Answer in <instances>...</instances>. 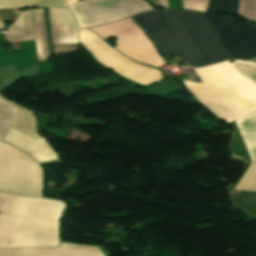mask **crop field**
<instances>
[{
	"label": "crop field",
	"instance_id": "8a807250",
	"mask_svg": "<svg viewBox=\"0 0 256 256\" xmlns=\"http://www.w3.org/2000/svg\"><path fill=\"white\" fill-rule=\"evenodd\" d=\"M132 19L151 36L161 54L180 58L190 67L232 59L227 51L218 46L213 27L197 13L149 11Z\"/></svg>",
	"mask_w": 256,
	"mask_h": 256
},
{
	"label": "crop field",
	"instance_id": "ac0d7876",
	"mask_svg": "<svg viewBox=\"0 0 256 256\" xmlns=\"http://www.w3.org/2000/svg\"><path fill=\"white\" fill-rule=\"evenodd\" d=\"M15 197L0 193V247H8V233L9 247L58 246V221L64 203L48 199Z\"/></svg>",
	"mask_w": 256,
	"mask_h": 256
},
{
	"label": "crop field",
	"instance_id": "34b2d1b8",
	"mask_svg": "<svg viewBox=\"0 0 256 256\" xmlns=\"http://www.w3.org/2000/svg\"><path fill=\"white\" fill-rule=\"evenodd\" d=\"M194 70L203 83L183 82L218 118L229 122L256 111V85L243 78L228 61Z\"/></svg>",
	"mask_w": 256,
	"mask_h": 256
},
{
	"label": "crop field",
	"instance_id": "412701ff",
	"mask_svg": "<svg viewBox=\"0 0 256 256\" xmlns=\"http://www.w3.org/2000/svg\"><path fill=\"white\" fill-rule=\"evenodd\" d=\"M39 164L20 150L0 142V192L40 197Z\"/></svg>",
	"mask_w": 256,
	"mask_h": 256
},
{
	"label": "crop field",
	"instance_id": "f4fd0767",
	"mask_svg": "<svg viewBox=\"0 0 256 256\" xmlns=\"http://www.w3.org/2000/svg\"><path fill=\"white\" fill-rule=\"evenodd\" d=\"M89 29L102 39L113 35L117 39L115 49L133 60L155 67L164 64L154 45L130 18Z\"/></svg>",
	"mask_w": 256,
	"mask_h": 256
},
{
	"label": "crop field",
	"instance_id": "dd49c442",
	"mask_svg": "<svg viewBox=\"0 0 256 256\" xmlns=\"http://www.w3.org/2000/svg\"><path fill=\"white\" fill-rule=\"evenodd\" d=\"M79 29L110 23L152 10L145 0H83L68 5Z\"/></svg>",
	"mask_w": 256,
	"mask_h": 256
},
{
	"label": "crop field",
	"instance_id": "e52e79f7",
	"mask_svg": "<svg viewBox=\"0 0 256 256\" xmlns=\"http://www.w3.org/2000/svg\"><path fill=\"white\" fill-rule=\"evenodd\" d=\"M79 41L102 65L144 86L163 80L160 71L128 60L90 31L80 30Z\"/></svg>",
	"mask_w": 256,
	"mask_h": 256
},
{
	"label": "crop field",
	"instance_id": "d8731c3e",
	"mask_svg": "<svg viewBox=\"0 0 256 256\" xmlns=\"http://www.w3.org/2000/svg\"><path fill=\"white\" fill-rule=\"evenodd\" d=\"M214 26L220 45L237 59L256 57V31L238 24L232 16L202 14ZM226 49V50H227Z\"/></svg>",
	"mask_w": 256,
	"mask_h": 256
},
{
	"label": "crop field",
	"instance_id": "5a996713",
	"mask_svg": "<svg viewBox=\"0 0 256 256\" xmlns=\"http://www.w3.org/2000/svg\"><path fill=\"white\" fill-rule=\"evenodd\" d=\"M9 127L33 138L39 137L34 112L0 96V140Z\"/></svg>",
	"mask_w": 256,
	"mask_h": 256
},
{
	"label": "crop field",
	"instance_id": "3316defc",
	"mask_svg": "<svg viewBox=\"0 0 256 256\" xmlns=\"http://www.w3.org/2000/svg\"><path fill=\"white\" fill-rule=\"evenodd\" d=\"M0 256H104L97 247L65 244L60 247L0 249Z\"/></svg>",
	"mask_w": 256,
	"mask_h": 256
},
{
	"label": "crop field",
	"instance_id": "28ad6ade",
	"mask_svg": "<svg viewBox=\"0 0 256 256\" xmlns=\"http://www.w3.org/2000/svg\"><path fill=\"white\" fill-rule=\"evenodd\" d=\"M51 23L67 22L69 42H53V44L77 43L76 24L67 9L49 8ZM66 23L52 24L54 32H61L62 41H68ZM51 28V31H52ZM52 37V40H53ZM55 41V37H54Z\"/></svg>",
	"mask_w": 256,
	"mask_h": 256
},
{
	"label": "crop field",
	"instance_id": "d1516ede",
	"mask_svg": "<svg viewBox=\"0 0 256 256\" xmlns=\"http://www.w3.org/2000/svg\"><path fill=\"white\" fill-rule=\"evenodd\" d=\"M6 39L10 42L34 40L29 10L22 11L19 18L8 27Z\"/></svg>",
	"mask_w": 256,
	"mask_h": 256
},
{
	"label": "crop field",
	"instance_id": "22f410ed",
	"mask_svg": "<svg viewBox=\"0 0 256 256\" xmlns=\"http://www.w3.org/2000/svg\"><path fill=\"white\" fill-rule=\"evenodd\" d=\"M251 161L256 163V112L237 119Z\"/></svg>",
	"mask_w": 256,
	"mask_h": 256
},
{
	"label": "crop field",
	"instance_id": "cbeb9de0",
	"mask_svg": "<svg viewBox=\"0 0 256 256\" xmlns=\"http://www.w3.org/2000/svg\"><path fill=\"white\" fill-rule=\"evenodd\" d=\"M32 24H33V31L35 37V44H36V51H37V58L38 61L46 60L48 56L47 51V43H46V35L43 23V14L42 9H33L30 10Z\"/></svg>",
	"mask_w": 256,
	"mask_h": 256
},
{
	"label": "crop field",
	"instance_id": "5142ce71",
	"mask_svg": "<svg viewBox=\"0 0 256 256\" xmlns=\"http://www.w3.org/2000/svg\"><path fill=\"white\" fill-rule=\"evenodd\" d=\"M73 2L78 0H72ZM71 0H0V8H16L25 6L67 7Z\"/></svg>",
	"mask_w": 256,
	"mask_h": 256
},
{
	"label": "crop field",
	"instance_id": "d9b57169",
	"mask_svg": "<svg viewBox=\"0 0 256 256\" xmlns=\"http://www.w3.org/2000/svg\"><path fill=\"white\" fill-rule=\"evenodd\" d=\"M206 11L238 15V0H209Z\"/></svg>",
	"mask_w": 256,
	"mask_h": 256
},
{
	"label": "crop field",
	"instance_id": "733c2abd",
	"mask_svg": "<svg viewBox=\"0 0 256 256\" xmlns=\"http://www.w3.org/2000/svg\"><path fill=\"white\" fill-rule=\"evenodd\" d=\"M232 191L256 192V164L251 163L243 178Z\"/></svg>",
	"mask_w": 256,
	"mask_h": 256
},
{
	"label": "crop field",
	"instance_id": "4a817a6b",
	"mask_svg": "<svg viewBox=\"0 0 256 256\" xmlns=\"http://www.w3.org/2000/svg\"><path fill=\"white\" fill-rule=\"evenodd\" d=\"M244 77L256 84V64L235 61L231 63Z\"/></svg>",
	"mask_w": 256,
	"mask_h": 256
},
{
	"label": "crop field",
	"instance_id": "bc2a9ffb",
	"mask_svg": "<svg viewBox=\"0 0 256 256\" xmlns=\"http://www.w3.org/2000/svg\"><path fill=\"white\" fill-rule=\"evenodd\" d=\"M208 0H182L183 9L204 12Z\"/></svg>",
	"mask_w": 256,
	"mask_h": 256
},
{
	"label": "crop field",
	"instance_id": "214f88e0",
	"mask_svg": "<svg viewBox=\"0 0 256 256\" xmlns=\"http://www.w3.org/2000/svg\"><path fill=\"white\" fill-rule=\"evenodd\" d=\"M239 14L247 19L256 20V5L239 3Z\"/></svg>",
	"mask_w": 256,
	"mask_h": 256
},
{
	"label": "crop field",
	"instance_id": "92a150f3",
	"mask_svg": "<svg viewBox=\"0 0 256 256\" xmlns=\"http://www.w3.org/2000/svg\"><path fill=\"white\" fill-rule=\"evenodd\" d=\"M20 9L0 10V21H14L19 14Z\"/></svg>",
	"mask_w": 256,
	"mask_h": 256
},
{
	"label": "crop field",
	"instance_id": "dafd665d",
	"mask_svg": "<svg viewBox=\"0 0 256 256\" xmlns=\"http://www.w3.org/2000/svg\"><path fill=\"white\" fill-rule=\"evenodd\" d=\"M158 6L168 7L166 0H157Z\"/></svg>",
	"mask_w": 256,
	"mask_h": 256
},
{
	"label": "crop field",
	"instance_id": "00972430",
	"mask_svg": "<svg viewBox=\"0 0 256 256\" xmlns=\"http://www.w3.org/2000/svg\"><path fill=\"white\" fill-rule=\"evenodd\" d=\"M241 2L256 4V0H239Z\"/></svg>",
	"mask_w": 256,
	"mask_h": 256
},
{
	"label": "crop field",
	"instance_id": "a9b5d70f",
	"mask_svg": "<svg viewBox=\"0 0 256 256\" xmlns=\"http://www.w3.org/2000/svg\"><path fill=\"white\" fill-rule=\"evenodd\" d=\"M0 28H4V22H0Z\"/></svg>",
	"mask_w": 256,
	"mask_h": 256
},
{
	"label": "crop field",
	"instance_id": "4177f3b9",
	"mask_svg": "<svg viewBox=\"0 0 256 256\" xmlns=\"http://www.w3.org/2000/svg\"><path fill=\"white\" fill-rule=\"evenodd\" d=\"M154 3H155V5L157 6V4H156V0H152Z\"/></svg>",
	"mask_w": 256,
	"mask_h": 256
}]
</instances>
